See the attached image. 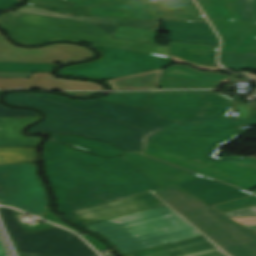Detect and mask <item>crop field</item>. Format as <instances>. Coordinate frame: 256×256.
<instances>
[{
    "label": "crop field",
    "mask_w": 256,
    "mask_h": 256,
    "mask_svg": "<svg viewBox=\"0 0 256 256\" xmlns=\"http://www.w3.org/2000/svg\"><path fill=\"white\" fill-rule=\"evenodd\" d=\"M229 74H231V75H232V78H243V77H241V76L234 75V74H232V73H229Z\"/></svg>",
    "instance_id": "crop-field-43"
},
{
    "label": "crop field",
    "mask_w": 256,
    "mask_h": 256,
    "mask_svg": "<svg viewBox=\"0 0 256 256\" xmlns=\"http://www.w3.org/2000/svg\"><path fill=\"white\" fill-rule=\"evenodd\" d=\"M88 242H90L98 251L105 250L106 248L102 246L98 241H96L94 238L85 235L83 236Z\"/></svg>",
    "instance_id": "crop-field-35"
},
{
    "label": "crop field",
    "mask_w": 256,
    "mask_h": 256,
    "mask_svg": "<svg viewBox=\"0 0 256 256\" xmlns=\"http://www.w3.org/2000/svg\"><path fill=\"white\" fill-rule=\"evenodd\" d=\"M228 79L226 75L202 73L182 65H173L164 70L159 86L161 89L215 88Z\"/></svg>",
    "instance_id": "crop-field-19"
},
{
    "label": "crop field",
    "mask_w": 256,
    "mask_h": 256,
    "mask_svg": "<svg viewBox=\"0 0 256 256\" xmlns=\"http://www.w3.org/2000/svg\"><path fill=\"white\" fill-rule=\"evenodd\" d=\"M213 26L256 30V0H197ZM221 64L256 70V47L222 45Z\"/></svg>",
    "instance_id": "crop-field-7"
},
{
    "label": "crop field",
    "mask_w": 256,
    "mask_h": 256,
    "mask_svg": "<svg viewBox=\"0 0 256 256\" xmlns=\"http://www.w3.org/2000/svg\"><path fill=\"white\" fill-rule=\"evenodd\" d=\"M171 59H172V61L185 62V61H182V60H180V59H178V58H175V57H171ZM185 63H188V64H190V65H192V66H195V67L201 68V69L224 71V69L202 68V67H200V66H198V65H195V64H192V63H189V62H185Z\"/></svg>",
    "instance_id": "crop-field-36"
},
{
    "label": "crop field",
    "mask_w": 256,
    "mask_h": 256,
    "mask_svg": "<svg viewBox=\"0 0 256 256\" xmlns=\"http://www.w3.org/2000/svg\"><path fill=\"white\" fill-rule=\"evenodd\" d=\"M256 191V190H255ZM256 193V192H255Z\"/></svg>",
    "instance_id": "crop-field-50"
},
{
    "label": "crop field",
    "mask_w": 256,
    "mask_h": 256,
    "mask_svg": "<svg viewBox=\"0 0 256 256\" xmlns=\"http://www.w3.org/2000/svg\"><path fill=\"white\" fill-rule=\"evenodd\" d=\"M43 157L63 214L161 188L121 157L103 159L50 141Z\"/></svg>",
    "instance_id": "crop-field-1"
},
{
    "label": "crop field",
    "mask_w": 256,
    "mask_h": 256,
    "mask_svg": "<svg viewBox=\"0 0 256 256\" xmlns=\"http://www.w3.org/2000/svg\"><path fill=\"white\" fill-rule=\"evenodd\" d=\"M158 92H213V91H158Z\"/></svg>",
    "instance_id": "crop-field-39"
},
{
    "label": "crop field",
    "mask_w": 256,
    "mask_h": 256,
    "mask_svg": "<svg viewBox=\"0 0 256 256\" xmlns=\"http://www.w3.org/2000/svg\"><path fill=\"white\" fill-rule=\"evenodd\" d=\"M236 72H238V73H240V74H243V75H245V76H247V77H249V78H252V79L256 80V76H255V75H252V74H249V73H245V72H242V71H236Z\"/></svg>",
    "instance_id": "crop-field-38"
},
{
    "label": "crop field",
    "mask_w": 256,
    "mask_h": 256,
    "mask_svg": "<svg viewBox=\"0 0 256 256\" xmlns=\"http://www.w3.org/2000/svg\"><path fill=\"white\" fill-rule=\"evenodd\" d=\"M64 93L74 95V96H90L97 92H64Z\"/></svg>",
    "instance_id": "crop-field-37"
},
{
    "label": "crop field",
    "mask_w": 256,
    "mask_h": 256,
    "mask_svg": "<svg viewBox=\"0 0 256 256\" xmlns=\"http://www.w3.org/2000/svg\"><path fill=\"white\" fill-rule=\"evenodd\" d=\"M33 148H0V164L33 161Z\"/></svg>",
    "instance_id": "crop-field-27"
},
{
    "label": "crop field",
    "mask_w": 256,
    "mask_h": 256,
    "mask_svg": "<svg viewBox=\"0 0 256 256\" xmlns=\"http://www.w3.org/2000/svg\"><path fill=\"white\" fill-rule=\"evenodd\" d=\"M160 18L206 21L192 0L151 1ZM89 16L155 20L147 1L92 6Z\"/></svg>",
    "instance_id": "crop-field-13"
},
{
    "label": "crop field",
    "mask_w": 256,
    "mask_h": 256,
    "mask_svg": "<svg viewBox=\"0 0 256 256\" xmlns=\"http://www.w3.org/2000/svg\"><path fill=\"white\" fill-rule=\"evenodd\" d=\"M58 64L0 63V71L50 72Z\"/></svg>",
    "instance_id": "crop-field-29"
},
{
    "label": "crop field",
    "mask_w": 256,
    "mask_h": 256,
    "mask_svg": "<svg viewBox=\"0 0 256 256\" xmlns=\"http://www.w3.org/2000/svg\"><path fill=\"white\" fill-rule=\"evenodd\" d=\"M173 147L181 148L182 145L179 144H172Z\"/></svg>",
    "instance_id": "crop-field-44"
},
{
    "label": "crop field",
    "mask_w": 256,
    "mask_h": 256,
    "mask_svg": "<svg viewBox=\"0 0 256 256\" xmlns=\"http://www.w3.org/2000/svg\"><path fill=\"white\" fill-rule=\"evenodd\" d=\"M0 210L20 253L45 255L74 234L60 227L25 234L13 217V209L3 207Z\"/></svg>",
    "instance_id": "crop-field-17"
},
{
    "label": "crop field",
    "mask_w": 256,
    "mask_h": 256,
    "mask_svg": "<svg viewBox=\"0 0 256 256\" xmlns=\"http://www.w3.org/2000/svg\"><path fill=\"white\" fill-rule=\"evenodd\" d=\"M169 48L171 55L200 65L217 67L215 60L218 47L170 42Z\"/></svg>",
    "instance_id": "crop-field-21"
},
{
    "label": "crop field",
    "mask_w": 256,
    "mask_h": 256,
    "mask_svg": "<svg viewBox=\"0 0 256 256\" xmlns=\"http://www.w3.org/2000/svg\"><path fill=\"white\" fill-rule=\"evenodd\" d=\"M84 47L72 44H56L36 49L18 48L0 35V61L66 63L92 57Z\"/></svg>",
    "instance_id": "crop-field-15"
},
{
    "label": "crop field",
    "mask_w": 256,
    "mask_h": 256,
    "mask_svg": "<svg viewBox=\"0 0 256 256\" xmlns=\"http://www.w3.org/2000/svg\"><path fill=\"white\" fill-rule=\"evenodd\" d=\"M230 121H256V112H251L247 120L243 119H202V120H192L182 123H197V122H230Z\"/></svg>",
    "instance_id": "crop-field-31"
},
{
    "label": "crop field",
    "mask_w": 256,
    "mask_h": 256,
    "mask_svg": "<svg viewBox=\"0 0 256 256\" xmlns=\"http://www.w3.org/2000/svg\"><path fill=\"white\" fill-rule=\"evenodd\" d=\"M186 120H191V119H183V120L175 121V123H180V122L186 121Z\"/></svg>",
    "instance_id": "crop-field-45"
},
{
    "label": "crop field",
    "mask_w": 256,
    "mask_h": 256,
    "mask_svg": "<svg viewBox=\"0 0 256 256\" xmlns=\"http://www.w3.org/2000/svg\"><path fill=\"white\" fill-rule=\"evenodd\" d=\"M55 141L57 142H66L70 143L75 147L86 149L92 153L109 157L119 155L121 151L117 148L109 146L107 144L92 141L87 138L78 137V136H66V135H59V136H52Z\"/></svg>",
    "instance_id": "crop-field-25"
},
{
    "label": "crop field",
    "mask_w": 256,
    "mask_h": 256,
    "mask_svg": "<svg viewBox=\"0 0 256 256\" xmlns=\"http://www.w3.org/2000/svg\"><path fill=\"white\" fill-rule=\"evenodd\" d=\"M124 256H227L203 235Z\"/></svg>",
    "instance_id": "crop-field-20"
},
{
    "label": "crop field",
    "mask_w": 256,
    "mask_h": 256,
    "mask_svg": "<svg viewBox=\"0 0 256 256\" xmlns=\"http://www.w3.org/2000/svg\"><path fill=\"white\" fill-rule=\"evenodd\" d=\"M90 45L102 53L100 59L62 68L58 73L101 80L150 71L172 63L170 57Z\"/></svg>",
    "instance_id": "crop-field-9"
},
{
    "label": "crop field",
    "mask_w": 256,
    "mask_h": 256,
    "mask_svg": "<svg viewBox=\"0 0 256 256\" xmlns=\"http://www.w3.org/2000/svg\"><path fill=\"white\" fill-rule=\"evenodd\" d=\"M42 218L47 219V220H49V221H51V222H54V223H56V224H59V225H61V226L67 227V228H69V229H72V230H74V231L77 232V233L80 232V231H78V230H76V229H74V228H72V227L66 225L65 223H63L61 220H59L57 217H55V216L52 215V214H46V215L42 216Z\"/></svg>",
    "instance_id": "crop-field-33"
},
{
    "label": "crop field",
    "mask_w": 256,
    "mask_h": 256,
    "mask_svg": "<svg viewBox=\"0 0 256 256\" xmlns=\"http://www.w3.org/2000/svg\"><path fill=\"white\" fill-rule=\"evenodd\" d=\"M83 228L104 236L121 255L201 235L167 205Z\"/></svg>",
    "instance_id": "crop-field-4"
},
{
    "label": "crop field",
    "mask_w": 256,
    "mask_h": 256,
    "mask_svg": "<svg viewBox=\"0 0 256 256\" xmlns=\"http://www.w3.org/2000/svg\"><path fill=\"white\" fill-rule=\"evenodd\" d=\"M16 12L70 18L115 26L160 31L157 29L159 27L157 21L72 16L29 5L22 7ZM163 22L166 28V30L164 31L170 33V41L219 46V40L217 39L216 35L212 31L208 23L173 22L164 20Z\"/></svg>",
    "instance_id": "crop-field-12"
},
{
    "label": "crop field",
    "mask_w": 256,
    "mask_h": 256,
    "mask_svg": "<svg viewBox=\"0 0 256 256\" xmlns=\"http://www.w3.org/2000/svg\"><path fill=\"white\" fill-rule=\"evenodd\" d=\"M231 256H256V235L178 187L154 191Z\"/></svg>",
    "instance_id": "crop-field-5"
},
{
    "label": "crop field",
    "mask_w": 256,
    "mask_h": 256,
    "mask_svg": "<svg viewBox=\"0 0 256 256\" xmlns=\"http://www.w3.org/2000/svg\"><path fill=\"white\" fill-rule=\"evenodd\" d=\"M162 71V69H159L127 77L115 78L106 82L112 87V90L155 89L159 84Z\"/></svg>",
    "instance_id": "crop-field-23"
},
{
    "label": "crop field",
    "mask_w": 256,
    "mask_h": 256,
    "mask_svg": "<svg viewBox=\"0 0 256 256\" xmlns=\"http://www.w3.org/2000/svg\"><path fill=\"white\" fill-rule=\"evenodd\" d=\"M19 2L20 0H0V10L11 8Z\"/></svg>",
    "instance_id": "crop-field-34"
},
{
    "label": "crop field",
    "mask_w": 256,
    "mask_h": 256,
    "mask_svg": "<svg viewBox=\"0 0 256 256\" xmlns=\"http://www.w3.org/2000/svg\"><path fill=\"white\" fill-rule=\"evenodd\" d=\"M26 116H39L38 113L27 110H16L5 107L0 104V117H26Z\"/></svg>",
    "instance_id": "crop-field-30"
},
{
    "label": "crop field",
    "mask_w": 256,
    "mask_h": 256,
    "mask_svg": "<svg viewBox=\"0 0 256 256\" xmlns=\"http://www.w3.org/2000/svg\"><path fill=\"white\" fill-rule=\"evenodd\" d=\"M185 168H188V169H191V170H195V171H197L196 169H194L190 164H186L185 165Z\"/></svg>",
    "instance_id": "crop-field-41"
},
{
    "label": "crop field",
    "mask_w": 256,
    "mask_h": 256,
    "mask_svg": "<svg viewBox=\"0 0 256 256\" xmlns=\"http://www.w3.org/2000/svg\"><path fill=\"white\" fill-rule=\"evenodd\" d=\"M0 204L36 216L45 213L46 191L33 163L0 165Z\"/></svg>",
    "instance_id": "crop-field-11"
},
{
    "label": "crop field",
    "mask_w": 256,
    "mask_h": 256,
    "mask_svg": "<svg viewBox=\"0 0 256 256\" xmlns=\"http://www.w3.org/2000/svg\"><path fill=\"white\" fill-rule=\"evenodd\" d=\"M192 165V164H191ZM200 173L235 184L243 188L256 185V159L215 157L206 167L192 165Z\"/></svg>",
    "instance_id": "crop-field-18"
},
{
    "label": "crop field",
    "mask_w": 256,
    "mask_h": 256,
    "mask_svg": "<svg viewBox=\"0 0 256 256\" xmlns=\"http://www.w3.org/2000/svg\"><path fill=\"white\" fill-rule=\"evenodd\" d=\"M99 100L153 110L168 120L182 118H228L234 100L217 93L109 94Z\"/></svg>",
    "instance_id": "crop-field-6"
},
{
    "label": "crop field",
    "mask_w": 256,
    "mask_h": 256,
    "mask_svg": "<svg viewBox=\"0 0 256 256\" xmlns=\"http://www.w3.org/2000/svg\"><path fill=\"white\" fill-rule=\"evenodd\" d=\"M149 3H150V2H149ZM150 5H151V4H150ZM151 7H152V6H151ZM152 10H153V8H152ZM153 13H154L156 19H160V18H158V17L156 16L154 10H153ZM165 20H167V19H165ZM190 22H193V21H190Z\"/></svg>",
    "instance_id": "crop-field-46"
},
{
    "label": "crop field",
    "mask_w": 256,
    "mask_h": 256,
    "mask_svg": "<svg viewBox=\"0 0 256 256\" xmlns=\"http://www.w3.org/2000/svg\"><path fill=\"white\" fill-rule=\"evenodd\" d=\"M246 126H256V122H247Z\"/></svg>",
    "instance_id": "crop-field-42"
},
{
    "label": "crop field",
    "mask_w": 256,
    "mask_h": 256,
    "mask_svg": "<svg viewBox=\"0 0 256 256\" xmlns=\"http://www.w3.org/2000/svg\"><path fill=\"white\" fill-rule=\"evenodd\" d=\"M155 92H157V91H155ZM130 93H135V92H130Z\"/></svg>",
    "instance_id": "crop-field-49"
},
{
    "label": "crop field",
    "mask_w": 256,
    "mask_h": 256,
    "mask_svg": "<svg viewBox=\"0 0 256 256\" xmlns=\"http://www.w3.org/2000/svg\"><path fill=\"white\" fill-rule=\"evenodd\" d=\"M78 5H98V4H106V3H116V2H128V1H140V0H69Z\"/></svg>",
    "instance_id": "crop-field-32"
},
{
    "label": "crop field",
    "mask_w": 256,
    "mask_h": 256,
    "mask_svg": "<svg viewBox=\"0 0 256 256\" xmlns=\"http://www.w3.org/2000/svg\"><path fill=\"white\" fill-rule=\"evenodd\" d=\"M245 124L246 122L197 124L173 123L169 127L165 128L164 131L242 134L245 130H241V126H245Z\"/></svg>",
    "instance_id": "crop-field-24"
},
{
    "label": "crop field",
    "mask_w": 256,
    "mask_h": 256,
    "mask_svg": "<svg viewBox=\"0 0 256 256\" xmlns=\"http://www.w3.org/2000/svg\"><path fill=\"white\" fill-rule=\"evenodd\" d=\"M21 256H38V255H26V254H20Z\"/></svg>",
    "instance_id": "crop-field-47"
},
{
    "label": "crop field",
    "mask_w": 256,
    "mask_h": 256,
    "mask_svg": "<svg viewBox=\"0 0 256 256\" xmlns=\"http://www.w3.org/2000/svg\"><path fill=\"white\" fill-rule=\"evenodd\" d=\"M236 135L159 132L149 140L147 153L176 162L206 166L218 151V146L232 140ZM171 143L184 144L181 149L171 147Z\"/></svg>",
    "instance_id": "crop-field-10"
},
{
    "label": "crop field",
    "mask_w": 256,
    "mask_h": 256,
    "mask_svg": "<svg viewBox=\"0 0 256 256\" xmlns=\"http://www.w3.org/2000/svg\"><path fill=\"white\" fill-rule=\"evenodd\" d=\"M36 119H0V147L35 146L39 139L25 138L19 134V130Z\"/></svg>",
    "instance_id": "crop-field-22"
},
{
    "label": "crop field",
    "mask_w": 256,
    "mask_h": 256,
    "mask_svg": "<svg viewBox=\"0 0 256 256\" xmlns=\"http://www.w3.org/2000/svg\"><path fill=\"white\" fill-rule=\"evenodd\" d=\"M156 33L154 31L119 27L114 37L154 43Z\"/></svg>",
    "instance_id": "crop-field-28"
},
{
    "label": "crop field",
    "mask_w": 256,
    "mask_h": 256,
    "mask_svg": "<svg viewBox=\"0 0 256 256\" xmlns=\"http://www.w3.org/2000/svg\"><path fill=\"white\" fill-rule=\"evenodd\" d=\"M0 256H6L0 243Z\"/></svg>",
    "instance_id": "crop-field-40"
},
{
    "label": "crop field",
    "mask_w": 256,
    "mask_h": 256,
    "mask_svg": "<svg viewBox=\"0 0 256 256\" xmlns=\"http://www.w3.org/2000/svg\"><path fill=\"white\" fill-rule=\"evenodd\" d=\"M0 26L25 45L70 40L167 56L166 46L112 39L115 26L16 12L1 15Z\"/></svg>",
    "instance_id": "crop-field-2"
},
{
    "label": "crop field",
    "mask_w": 256,
    "mask_h": 256,
    "mask_svg": "<svg viewBox=\"0 0 256 256\" xmlns=\"http://www.w3.org/2000/svg\"><path fill=\"white\" fill-rule=\"evenodd\" d=\"M48 255L52 256H98L87 244L76 235L57 247Z\"/></svg>",
    "instance_id": "crop-field-26"
},
{
    "label": "crop field",
    "mask_w": 256,
    "mask_h": 256,
    "mask_svg": "<svg viewBox=\"0 0 256 256\" xmlns=\"http://www.w3.org/2000/svg\"><path fill=\"white\" fill-rule=\"evenodd\" d=\"M44 99H48L57 103H61L70 107L84 110L90 113L98 114L117 121H121L133 126H137L153 132H159L168 125L172 124L156 115V112L128 107L124 105L99 101V100H69L61 96L50 94H33ZM162 128L161 130L157 129Z\"/></svg>",
    "instance_id": "crop-field-14"
},
{
    "label": "crop field",
    "mask_w": 256,
    "mask_h": 256,
    "mask_svg": "<svg viewBox=\"0 0 256 256\" xmlns=\"http://www.w3.org/2000/svg\"><path fill=\"white\" fill-rule=\"evenodd\" d=\"M161 205H165V203L149 192L120 201L72 212L65 214V216L75 224L83 227Z\"/></svg>",
    "instance_id": "crop-field-16"
},
{
    "label": "crop field",
    "mask_w": 256,
    "mask_h": 256,
    "mask_svg": "<svg viewBox=\"0 0 256 256\" xmlns=\"http://www.w3.org/2000/svg\"><path fill=\"white\" fill-rule=\"evenodd\" d=\"M147 154V153H146ZM148 155H150V154H148ZM151 156H153V155H151ZM154 157H156V156H154ZM157 158H159V157H157ZM160 159H162V158H160ZM163 160H165V159H163ZM166 161H168V160H166ZM169 162H171V161H169ZM171 163H174V162H171ZM175 164V163H174Z\"/></svg>",
    "instance_id": "crop-field-48"
},
{
    "label": "crop field",
    "mask_w": 256,
    "mask_h": 256,
    "mask_svg": "<svg viewBox=\"0 0 256 256\" xmlns=\"http://www.w3.org/2000/svg\"><path fill=\"white\" fill-rule=\"evenodd\" d=\"M122 156L161 187L175 184L209 205L253 194L143 155L123 153Z\"/></svg>",
    "instance_id": "crop-field-8"
},
{
    "label": "crop field",
    "mask_w": 256,
    "mask_h": 256,
    "mask_svg": "<svg viewBox=\"0 0 256 256\" xmlns=\"http://www.w3.org/2000/svg\"><path fill=\"white\" fill-rule=\"evenodd\" d=\"M6 102L42 110L47 119L29 131L47 130L50 133H74L102 139L123 148L141 153L145 137L153 132L133 127L98 115L90 114L26 93L5 96Z\"/></svg>",
    "instance_id": "crop-field-3"
}]
</instances>
